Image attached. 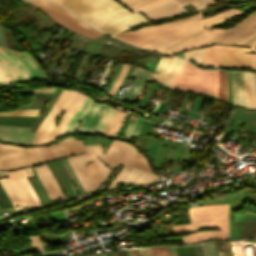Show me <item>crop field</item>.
Here are the masks:
<instances>
[{"label":"crop field","instance_id":"crop-field-1","mask_svg":"<svg viewBox=\"0 0 256 256\" xmlns=\"http://www.w3.org/2000/svg\"><path fill=\"white\" fill-rule=\"evenodd\" d=\"M75 140L62 139L58 146L38 148L43 162L73 153L85 152L66 158L83 190H93L97 188L111 172L96 156L103 159L111 168H115L118 163L125 165L136 150L125 142L113 140L112 144L103 155L101 147L96 145L84 146L82 143L78 142L79 140ZM92 160L95 162L83 165ZM124 165L107 188H111L119 179L126 169Z\"/></svg>","mask_w":256,"mask_h":256},{"label":"crop field","instance_id":"crop-field-2","mask_svg":"<svg viewBox=\"0 0 256 256\" xmlns=\"http://www.w3.org/2000/svg\"><path fill=\"white\" fill-rule=\"evenodd\" d=\"M190 224L174 226V234L193 231L201 228L219 227L214 231H195L183 238L187 245L211 239H227V205L198 206L189 210Z\"/></svg>","mask_w":256,"mask_h":256},{"label":"crop field","instance_id":"crop-field-3","mask_svg":"<svg viewBox=\"0 0 256 256\" xmlns=\"http://www.w3.org/2000/svg\"><path fill=\"white\" fill-rule=\"evenodd\" d=\"M47 79L29 54L0 46V84Z\"/></svg>","mask_w":256,"mask_h":256},{"label":"crop field","instance_id":"crop-field-4","mask_svg":"<svg viewBox=\"0 0 256 256\" xmlns=\"http://www.w3.org/2000/svg\"><path fill=\"white\" fill-rule=\"evenodd\" d=\"M169 88L207 93L217 97V70H200L184 61Z\"/></svg>","mask_w":256,"mask_h":256},{"label":"crop field","instance_id":"crop-field-5","mask_svg":"<svg viewBox=\"0 0 256 256\" xmlns=\"http://www.w3.org/2000/svg\"><path fill=\"white\" fill-rule=\"evenodd\" d=\"M31 4L39 7L58 24L78 32L86 37L97 39L102 32L92 28L79 17L67 11L52 0H33Z\"/></svg>","mask_w":256,"mask_h":256},{"label":"crop field","instance_id":"crop-field-6","mask_svg":"<svg viewBox=\"0 0 256 256\" xmlns=\"http://www.w3.org/2000/svg\"><path fill=\"white\" fill-rule=\"evenodd\" d=\"M198 19H201L200 14L192 15L188 18L178 20L176 22L141 28L136 31H127L122 34L115 35L127 42L148 48L158 39L166 36L167 34L182 28Z\"/></svg>","mask_w":256,"mask_h":256},{"label":"crop field","instance_id":"crop-field-7","mask_svg":"<svg viewBox=\"0 0 256 256\" xmlns=\"http://www.w3.org/2000/svg\"><path fill=\"white\" fill-rule=\"evenodd\" d=\"M66 6L90 24H95L109 15L123 9L114 0H55ZM65 7V8H66ZM94 26V25H93Z\"/></svg>","mask_w":256,"mask_h":256},{"label":"crop field","instance_id":"crop-field-8","mask_svg":"<svg viewBox=\"0 0 256 256\" xmlns=\"http://www.w3.org/2000/svg\"><path fill=\"white\" fill-rule=\"evenodd\" d=\"M37 148L0 144V169L13 170L41 163Z\"/></svg>","mask_w":256,"mask_h":256},{"label":"crop field","instance_id":"crop-field-9","mask_svg":"<svg viewBox=\"0 0 256 256\" xmlns=\"http://www.w3.org/2000/svg\"><path fill=\"white\" fill-rule=\"evenodd\" d=\"M255 35L256 12L238 22L235 27L224 30L213 40L201 46H208L214 43L244 46Z\"/></svg>","mask_w":256,"mask_h":256},{"label":"crop field","instance_id":"crop-field-10","mask_svg":"<svg viewBox=\"0 0 256 256\" xmlns=\"http://www.w3.org/2000/svg\"><path fill=\"white\" fill-rule=\"evenodd\" d=\"M75 92V90L63 89L54 105L51 107L49 112L37 127L33 144L50 141L51 134L58 116L63 112L64 108L70 102Z\"/></svg>","mask_w":256,"mask_h":256},{"label":"crop field","instance_id":"crop-field-11","mask_svg":"<svg viewBox=\"0 0 256 256\" xmlns=\"http://www.w3.org/2000/svg\"><path fill=\"white\" fill-rule=\"evenodd\" d=\"M250 48L223 46L220 67L243 68L256 70V54L245 52H256V42Z\"/></svg>","mask_w":256,"mask_h":256},{"label":"crop field","instance_id":"crop-field-12","mask_svg":"<svg viewBox=\"0 0 256 256\" xmlns=\"http://www.w3.org/2000/svg\"><path fill=\"white\" fill-rule=\"evenodd\" d=\"M7 172V171H6ZM9 178H7L17 196L21 200L23 206H29L30 208L34 207L37 208L40 206L39 199L34 194L28 180L26 178L33 177V173L31 172L30 168H24L16 171L7 172Z\"/></svg>","mask_w":256,"mask_h":256},{"label":"crop field","instance_id":"crop-field-13","mask_svg":"<svg viewBox=\"0 0 256 256\" xmlns=\"http://www.w3.org/2000/svg\"><path fill=\"white\" fill-rule=\"evenodd\" d=\"M236 12H239V11L235 8H232V9L226 10L224 12H221L219 14H216L214 16L201 19L195 23H192V24H190L182 29H179V30L167 35L166 37L160 39L159 41L154 43L151 47H149V49L160 52L166 46L181 39L182 37L194 32L208 24H211L217 20L226 18Z\"/></svg>","mask_w":256,"mask_h":256},{"label":"crop field","instance_id":"crop-field-14","mask_svg":"<svg viewBox=\"0 0 256 256\" xmlns=\"http://www.w3.org/2000/svg\"><path fill=\"white\" fill-rule=\"evenodd\" d=\"M171 1H173V0H156L154 2H151L147 5H144L135 10H132L134 13L127 15L123 18H119V19L107 24L106 26L102 27L100 30H102L110 35H113L115 33L121 32V31L129 28L130 26H132L134 24L147 22V20L145 18H143L137 11H141L142 13H144L150 9L164 5Z\"/></svg>","mask_w":256,"mask_h":256},{"label":"crop field","instance_id":"crop-field-15","mask_svg":"<svg viewBox=\"0 0 256 256\" xmlns=\"http://www.w3.org/2000/svg\"><path fill=\"white\" fill-rule=\"evenodd\" d=\"M182 61V59L174 56L163 57L158 67L155 69V71H158L160 73H154L153 78H155L157 82L168 87L170 82L175 77Z\"/></svg>","mask_w":256,"mask_h":256},{"label":"crop field","instance_id":"crop-field-16","mask_svg":"<svg viewBox=\"0 0 256 256\" xmlns=\"http://www.w3.org/2000/svg\"><path fill=\"white\" fill-rule=\"evenodd\" d=\"M29 128L0 126V141L31 145L34 133H27Z\"/></svg>","mask_w":256,"mask_h":256},{"label":"crop field","instance_id":"crop-field-17","mask_svg":"<svg viewBox=\"0 0 256 256\" xmlns=\"http://www.w3.org/2000/svg\"><path fill=\"white\" fill-rule=\"evenodd\" d=\"M106 105L93 102L86 110L77 132L90 134Z\"/></svg>","mask_w":256,"mask_h":256},{"label":"crop field","instance_id":"crop-field-18","mask_svg":"<svg viewBox=\"0 0 256 256\" xmlns=\"http://www.w3.org/2000/svg\"><path fill=\"white\" fill-rule=\"evenodd\" d=\"M153 72L143 70L141 68H135L134 73L132 75L134 79L131 87L128 89V91L123 96L124 99H127L129 101H133L136 99V97L140 94L148 80L152 77Z\"/></svg>","mask_w":256,"mask_h":256},{"label":"crop field","instance_id":"crop-field-19","mask_svg":"<svg viewBox=\"0 0 256 256\" xmlns=\"http://www.w3.org/2000/svg\"><path fill=\"white\" fill-rule=\"evenodd\" d=\"M129 168L131 170H129ZM158 178L160 177L154 175V173L144 172L135 168L128 167V169L120 177L117 183L120 180H123L125 183L122 186L141 184V183L145 184V183L157 181ZM117 183L113 187H115Z\"/></svg>","mask_w":256,"mask_h":256},{"label":"crop field","instance_id":"crop-field-20","mask_svg":"<svg viewBox=\"0 0 256 256\" xmlns=\"http://www.w3.org/2000/svg\"><path fill=\"white\" fill-rule=\"evenodd\" d=\"M233 87V105L245 106V86L243 72H231Z\"/></svg>","mask_w":256,"mask_h":256},{"label":"crop field","instance_id":"crop-field-21","mask_svg":"<svg viewBox=\"0 0 256 256\" xmlns=\"http://www.w3.org/2000/svg\"><path fill=\"white\" fill-rule=\"evenodd\" d=\"M84 97H85V95L80 94L78 92L75 94V96L73 97V99L71 100V102L69 103L67 108L65 109V111H64L65 113H64L58 127L54 129L51 141L60 137L66 121L68 120L70 115L73 113V111L78 107V105L81 103V101L84 99Z\"/></svg>","mask_w":256,"mask_h":256},{"label":"crop field","instance_id":"crop-field-22","mask_svg":"<svg viewBox=\"0 0 256 256\" xmlns=\"http://www.w3.org/2000/svg\"><path fill=\"white\" fill-rule=\"evenodd\" d=\"M92 103V101L86 96V98L83 100V102L80 104V106L77 108V110L72 114V116L69 118L65 129L62 132V135L66 134H74L76 125L79 122V120L82 118L85 110L87 107ZM61 135V136H62Z\"/></svg>","mask_w":256,"mask_h":256},{"label":"crop field","instance_id":"crop-field-23","mask_svg":"<svg viewBox=\"0 0 256 256\" xmlns=\"http://www.w3.org/2000/svg\"><path fill=\"white\" fill-rule=\"evenodd\" d=\"M180 12H184L182 8H180L175 1L164 5L158 9L149 11L147 13H144V15L151 21L155 19L164 18L173 14H177Z\"/></svg>","mask_w":256,"mask_h":256},{"label":"crop field","instance_id":"crop-field-24","mask_svg":"<svg viewBox=\"0 0 256 256\" xmlns=\"http://www.w3.org/2000/svg\"><path fill=\"white\" fill-rule=\"evenodd\" d=\"M221 31H222L221 29H212L211 31H207V32L195 37L194 39L188 41L184 45L176 48L175 50L169 52V54H174V53H177L182 50L194 48L204 42L210 41L215 36H217L219 33H221Z\"/></svg>","mask_w":256,"mask_h":256},{"label":"crop field","instance_id":"crop-field-25","mask_svg":"<svg viewBox=\"0 0 256 256\" xmlns=\"http://www.w3.org/2000/svg\"><path fill=\"white\" fill-rule=\"evenodd\" d=\"M246 86V106L256 108V85L253 73L244 72Z\"/></svg>","mask_w":256,"mask_h":256},{"label":"crop field","instance_id":"crop-field-26","mask_svg":"<svg viewBox=\"0 0 256 256\" xmlns=\"http://www.w3.org/2000/svg\"><path fill=\"white\" fill-rule=\"evenodd\" d=\"M222 45H212L205 48V61L203 67H219Z\"/></svg>","mask_w":256,"mask_h":256},{"label":"crop field","instance_id":"crop-field-27","mask_svg":"<svg viewBox=\"0 0 256 256\" xmlns=\"http://www.w3.org/2000/svg\"><path fill=\"white\" fill-rule=\"evenodd\" d=\"M117 107L114 110L112 107L107 106L103 114L101 115L100 119L98 120L92 134H102L104 133L105 129L107 128L109 122L111 121L112 117L117 111Z\"/></svg>","mask_w":256,"mask_h":256},{"label":"crop field","instance_id":"crop-field-28","mask_svg":"<svg viewBox=\"0 0 256 256\" xmlns=\"http://www.w3.org/2000/svg\"><path fill=\"white\" fill-rule=\"evenodd\" d=\"M122 109H118L117 113L113 117L112 121L110 122L108 128L106 129L104 135L105 136H115L124 121L127 113L121 111Z\"/></svg>","mask_w":256,"mask_h":256},{"label":"crop field","instance_id":"crop-field-29","mask_svg":"<svg viewBox=\"0 0 256 256\" xmlns=\"http://www.w3.org/2000/svg\"><path fill=\"white\" fill-rule=\"evenodd\" d=\"M126 166H133L136 168L143 169L145 171L152 172V170L149 168V165L147 164V161L145 160V158L137 151L133 154V156L127 162Z\"/></svg>","mask_w":256,"mask_h":256},{"label":"crop field","instance_id":"crop-field-30","mask_svg":"<svg viewBox=\"0 0 256 256\" xmlns=\"http://www.w3.org/2000/svg\"><path fill=\"white\" fill-rule=\"evenodd\" d=\"M219 79V98L227 102L228 87H227V73L218 70Z\"/></svg>","mask_w":256,"mask_h":256},{"label":"crop field","instance_id":"crop-field-31","mask_svg":"<svg viewBox=\"0 0 256 256\" xmlns=\"http://www.w3.org/2000/svg\"><path fill=\"white\" fill-rule=\"evenodd\" d=\"M184 59L193 60L196 64L202 66L204 60V48L185 51Z\"/></svg>","mask_w":256,"mask_h":256},{"label":"crop field","instance_id":"crop-field-32","mask_svg":"<svg viewBox=\"0 0 256 256\" xmlns=\"http://www.w3.org/2000/svg\"><path fill=\"white\" fill-rule=\"evenodd\" d=\"M142 120L136 118L135 121L133 123H128L124 133H123V138H127L129 139L130 137L132 136H137L138 135V132L140 130V127H141V124H142ZM126 139V140H127ZM125 140V139H124Z\"/></svg>","mask_w":256,"mask_h":256},{"label":"crop field","instance_id":"crop-field-33","mask_svg":"<svg viewBox=\"0 0 256 256\" xmlns=\"http://www.w3.org/2000/svg\"><path fill=\"white\" fill-rule=\"evenodd\" d=\"M40 166L43 169V171H44V173H45V175H46V177H47L51 187L53 188L56 196L64 198V196L62 195V193H61V191H60V189H59V187H58V185H57V183H56V181H55V179H54L50 169L47 167L46 164L40 165Z\"/></svg>","mask_w":256,"mask_h":256},{"label":"crop field","instance_id":"crop-field-34","mask_svg":"<svg viewBox=\"0 0 256 256\" xmlns=\"http://www.w3.org/2000/svg\"><path fill=\"white\" fill-rule=\"evenodd\" d=\"M33 168L35 169V171H36V173H37V175H38V177H39L41 183L43 184V186H44V188H45V190H46V192H47L49 198H50V199H57L56 196H55V194H54V192H53V190H52V188L50 187V185H49V183H48L46 177L44 176V174H43V172H42L40 166H38V167H33Z\"/></svg>","mask_w":256,"mask_h":256},{"label":"crop field","instance_id":"crop-field-35","mask_svg":"<svg viewBox=\"0 0 256 256\" xmlns=\"http://www.w3.org/2000/svg\"><path fill=\"white\" fill-rule=\"evenodd\" d=\"M207 30H209V29H204V28H203V29H201V30H198V31H196V32H194V33H192V34H190V35L184 37L183 39L179 40V41L176 42L175 44H173V45H171V46L165 48V49H164L163 51H161V52L167 53V52H169V51L175 49L176 47H178V46L184 44V43L187 42L188 40L194 38L195 36H197V35H199V34L205 32V31H207Z\"/></svg>","mask_w":256,"mask_h":256},{"label":"crop field","instance_id":"crop-field-36","mask_svg":"<svg viewBox=\"0 0 256 256\" xmlns=\"http://www.w3.org/2000/svg\"><path fill=\"white\" fill-rule=\"evenodd\" d=\"M129 13H130L129 11L124 9V10H122V11H120V12H118V13H116V14H114V15H112V16L104 19V20H102L101 22L95 24L94 27H96L98 29V28L106 25L107 23H109V22H111V21H113V20H115V19H117L119 17H123V16H125V15H127Z\"/></svg>","mask_w":256,"mask_h":256},{"label":"crop field","instance_id":"crop-field-37","mask_svg":"<svg viewBox=\"0 0 256 256\" xmlns=\"http://www.w3.org/2000/svg\"><path fill=\"white\" fill-rule=\"evenodd\" d=\"M0 182H1V184H2V186H3V188H4V190H5V192H6V194H7V196L9 197L11 203L13 204V206H14L16 212H18V210H17V208H16V206H15V205L18 204V202H17L16 198L14 197V195H13V193H12V191H11L9 185L7 184V182L5 181L4 178H3V179H0ZM18 205H19V204H18ZM19 207H20V206H19ZM20 208H21V207H20Z\"/></svg>","mask_w":256,"mask_h":256},{"label":"crop field","instance_id":"crop-field-38","mask_svg":"<svg viewBox=\"0 0 256 256\" xmlns=\"http://www.w3.org/2000/svg\"><path fill=\"white\" fill-rule=\"evenodd\" d=\"M41 110H20L15 112H0V115H38Z\"/></svg>","mask_w":256,"mask_h":256},{"label":"crop field","instance_id":"crop-field-39","mask_svg":"<svg viewBox=\"0 0 256 256\" xmlns=\"http://www.w3.org/2000/svg\"><path fill=\"white\" fill-rule=\"evenodd\" d=\"M178 256H195L192 246L188 247H176Z\"/></svg>","mask_w":256,"mask_h":256},{"label":"crop field","instance_id":"crop-field-40","mask_svg":"<svg viewBox=\"0 0 256 256\" xmlns=\"http://www.w3.org/2000/svg\"><path fill=\"white\" fill-rule=\"evenodd\" d=\"M187 3L196 4L197 5V9L200 10V9H202V8L212 4L213 0H190V1H187L185 3H182L181 5L187 4Z\"/></svg>","mask_w":256,"mask_h":256},{"label":"crop field","instance_id":"crop-field-41","mask_svg":"<svg viewBox=\"0 0 256 256\" xmlns=\"http://www.w3.org/2000/svg\"><path fill=\"white\" fill-rule=\"evenodd\" d=\"M207 256H217L214 241L203 244Z\"/></svg>","mask_w":256,"mask_h":256},{"label":"crop field","instance_id":"crop-field-42","mask_svg":"<svg viewBox=\"0 0 256 256\" xmlns=\"http://www.w3.org/2000/svg\"><path fill=\"white\" fill-rule=\"evenodd\" d=\"M31 246L35 245L37 252L44 251L38 236L27 237Z\"/></svg>","mask_w":256,"mask_h":256},{"label":"crop field","instance_id":"crop-field-43","mask_svg":"<svg viewBox=\"0 0 256 256\" xmlns=\"http://www.w3.org/2000/svg\"><path fill=\"white\" fill-rule=\"evenodd\" d=\"M153 256H169L167 247L151 248Z\"/></svg>","mask_w":256,"mask_h":256},{"label":"crop field","instance_id":"crop-field-44","mask_svg":"<svg viewBox=\"0 0 256 256\" xmlns=\"http://www.w3.org/2000/svg\"><path fill=\"white\" fill-rule=\"evenodd\" d=\"M120 1L122 4H124L125 6H127L128 8L137 5L141 2H144L146 0H118Z\"/></svg>","mask_w":256,"mask_h":256},{"label":"crop field","instance_id":"crop-field-45","mask_svg":"<svg viewBox=\"0 0 256 256\" xmlns=\"http://www.w3.org/2000/svg\"><path fill=\"white\" fill-rule=\"evenodd\" d=\"M140 256H152L150 248H142L138 250Z\"/></svg>","mask_w":256,"mask_h":256},{"label":"crop field","instance_id":"crop-field-46","mask_svg":"<svg viewBox=\"0 0 256 256\" xmlns=\"http://www.w3.org/2000/svg\"><path fill=\"white\" fill-rule=\"evenodd\" d=\"M55 88H43V89H35V90H28V91H22V92H47V93H53Z\"/></svg>","mask_w":256,"mask_h":256},{"label":"crop field","instance_id":"crop-field-47","mask_svg":"<svg viewBox=\"0 0 256 256\" xmlns=\"http://www.w3.org/2000/svg\"><path fill=\"white\" fill-rule=\"evenodd\" d=\"M255 6H256V5H255ZM253 7H254V6H253ZM251 8H252V7H251ZM248 9H250V8H248ZM248 9H246V10H248ZM243 11H245V10H243ZM243 11H241V12H243ZM241 12H239V13H241ZM239 13H236V14H234V15H232V16H230V17L226 18V19H229V18H231V17H233V16H235V15H237V14H239ZM226 19H223V20L217 21V22H215V23H213V24H211V25H209V26H206V27L213 26V25H215V24H217V23H219V22H221V21H224V20H226Z\"/></svg>","mask_w":256,"mask_h":256},{"label":"crop field","instance_id":"crop-field-48","mask_svg":"<svg viewBox=\"0 0 256 256\" xmlns=\"http://www.w3.org/2000/svg\"><path fill=\"white\" fill-rule=\"evenodd\" d=\"M168 248H169L170 256H177L175 247H168Z\"/></svg>","mask_w":256,"mask_h":256},{"label":"crop field","instance_id":"crop-field-49","mask_svg":"<svg viewBox=\"0 0 256 256\" xmlns=\"http://www.w3.org/2000/svg\"><path fill=\"white\" fill-rule=\"evenodd\" d=\"M151 1H154V0H148V1L144 2V3H141V4L137 5V6H134V7L130 8V10L135 9V8H137V7H139V6H142V5H144V4H146V3H149V2H151Z\"/></svg>","mask_w":256,"mask_h":256},{"label":"crop field","instance_id":"crop-field-50","mask_svg":"<svg viewBox=\"0 0 256 256\" xmlns=\"http://www.w3.org/2000/svg\"><path fill=\"white\" fill-rule=\"evenodd\" d=\"M117 254H118V256H127L125 250L119 251V252H117Z\"/></svg>","mask_w":256,"mask_h":256},{"label":"crop field","instance_id":"crop-field-51","mask_svg":"<svg viewBox=\"0 0 256 256\" xmlns=\"http://www.w3.org/2000/svg\"><path fill=\"white\" fill-rule=\"evenodd\" d=\"M255 41H256V36L253 39H251L245 46H249L250 44H252Z\"/></svg>","mask_w":256,"mask_h":256},{"label":"crop field","instance_id":"crop-field-52","mask_svg":"<svg viewBox=\"0 0 256 256\" xmlns=\"http://www.w3.org/2000/svg\"><path fill=\"white\" fill-rule=\"evenodd\" d=\"M2 176H6L5 171H0V177H2Z\"/></svg>","mask_w":256,"mask_h":256},{"label":"crop field","instance_id":"crop-field-53","mask_svg":"<svg viewBox=\"0 0 256 256\" xmlns=\"http://www.w3.org/2000/svg\"><path fill=\"white\" fill-rule=\"evenodd\" d=\"M133 256H138L136 250H131Z\"/></svg>","mask_w":256,"mask_h":256},{"label":"crop field","instance_id":"crop-field-54","mask_svg":"<svg viewBox=\"0 0 256 256\" xmlns=\"http://www.w3.org/2000/svg\"><path fill=\"white\" fill-rule=\"evenodd\" d=\"M110 256H117L116 252H109Z\"/></svg>","mask_w":256,"mask_h":256},{"label":"crop field","instance_id":"crop-field-55","mask_svg":"<svg viewBox=\"0 0 256 256\" xmlns=\"http://www.w3.org/2000/svg\"><path fill=\"white\" fill-rule=\"evenodd\" d=\"M175 1L180 4V3L185 2V1H187V0H175Z\"/></svg>","mask_w":256,"mask_h":256},{"label":"crop field","instance_id":"crop-field-56","mask_svg":"<svg viewBox=\"0 0 256 256\" xmlns=\"http://www.w3.org/2000/svg\"><path fill=\"white\" fill-rule=\"evenodd\" d=\"M126 251H127V255H128V256H132L130 250H126Z\"/></svg>","mask_w":256,"mask_h":256},{"label":"crop field","instance_id":"crop-field-57","mask_svg":"<svg viewBox=\"0 0 256 256\" xmlns=\"http://www.w3.org/2000/svg\"><path fill=\"white\" fill-rule=\"evenodd\" d=\"M89 256H101V253L93 254V255H89Z\"/></svg>","mask_w":256,"mask_h":256},{"label":"crop field","instance_id":"crop-field-58","mask_svg":"<svg viewBox=\"0 0 256 256\" xmlns=\"http://www.w3.org/2000/svg\"><path fill=\"white\" fill-rule=\"evenodd\" d=\"M21 1L30 3L32 0H21Z\"/></svg>","mask_w":256,"mask_h":256},{"label":"crop field","instance_id":"crop-field-59","mask_svg":"<svg viewBox=\"0 0 256 256\" xmlns=\"http://www.w3.org/2000/svg\"><path fill=\"white\" fill-rule=\"evenodd\" d=\"M243 1H245V0H240V1L236 2V3L243 2Z\"/></svg>","mask_w":256,"mask_h":256},{"label":"crop field","instance_id":"crop-field-60","mask_svg":"<svg viewBox=\"0 0 256 256\" xmlns=\"http://www.w3.org/2000/svg\"><path fill=\"white\" fill-rule=\"evenodd\" d=\"M105 254H106V256H109L108 252H106Z\"/></svg>","mask_w":256,"mask_h":256},{"label":"crop field","instance_id":"crop-field-61","mask_svg":"<svg viewBox=\"0 0 256 256\" xmlns=\"http://www.w3.org/2000/svg\"><path fill=\"white\" fill-rule=\"evenodd\" d=\"M247 1H254V0H247Z\"/></svg>","mask_w":256,"mask_h":256},{"label":"crop field","instance_id":"crop-field-62","mask_svg":"<svg viewBox=\"0 0 256 256\" xmlns=\"http://www.w3.org/2000/svg\"><path fill=\"white\" fill-rule=\"evenodd\" d=\"M102 255H103V256H105V254H104V253H102Z\"/></svg>","mask_w":256,"mask_h":256},{"label":"crop field","instance_id":"crop-field-63","mask_svg":"<svg viewBox=\"0 0 256 256\" xmlns=\"http://www.w3.org/2000/svg\"><path fill=\"white\" fill-rule=\"evenodd\" d=\"M255 77H256V74H255Z\"/></svg>","mask_w":256,"mask_h":256},{"label":"crop field","instance_id":"crop-field-64","mask_svg":"<svg viewBox=\"0 0 256 256\" xmlns=\"http://www.w3.org/2000/svg\"><path fill=\"white\" fill-rule=\"evenodd\" d=\"M1 213V212H0Z\"/></svg>","mask_w":256,"mask_h":256}]
</instances>
